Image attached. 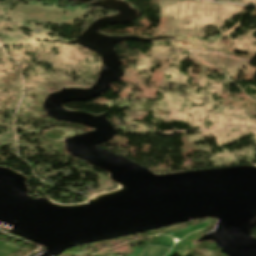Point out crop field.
I'll use <instances>...</instances> for the list:
<instances>
[{"label":"crop field","instance_id":"crop-field-1","mask_svg":"<svg viewBox=\"0 0 256 256\" xmlns=\"http://www.w3.org/2000/svg\"><path fill=\"white\" fill-rule=\"evenodd\" d=\"M170 248L164 246L148 245L139 256H165Z\"/></svg>","mask_w":256,"mask_h":256}]
</instances>
